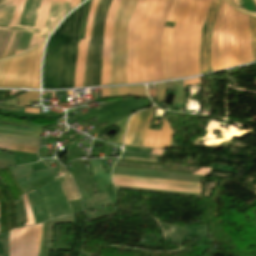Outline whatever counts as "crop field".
<instances>
[{
    "instance_id": "92a150f3",
    "label": "crop field",
    "mask_w": 256,
    "mask_h": 256,
    "mask_svg": "<svg viewBox=\"0 0 256 256\" xmlns=\"http://www.w3.org/2000/svg\"><path fill=\"white\" fill-rule=\"evenodd\" d=\"M39 100L38 92H27L18 96L19 106H29V101Z\"/></svg>"
},
{
    "instance_id": "bc2a9ffb",
    "label": "crop field",
    "mask_w": 256,
    "mask_h": 256,
    "mask_svg": "<svg viewBox=\"0 0 256 256\" xmlns=\"http://www.w3.org/2000/svg\"><path fill=\"white\" fill-rule=\"evenodd\" d=\"M51 0H43L42 7L35 27L43 28Z\"/></svg>"
},
{
    "instance_id": "00972430",
    "label": "crop field",
    "mask_w": 256,
    "mask_h": 256,
    "mask_svg": "<svg viewBox=\"0 0 256 256\" xmlns=\"http://www.w3.org/2000/svg\"><path fill=\"white\" fill-rule=\"evenodd\" d=\"M182 1L183 0H174L173 6L171 8V11H170L166 21L173 22V23L175 22V20L177 18V15H178V12L180 10Z\"/></svg>"
},
{
    "instance_id": "d9b57169",
    "label": "crop field",
    "mask_w": 256,
    "mask_h": 256,
    "mask_svg": "<svg viewBox=\"0 0 256 256\" xmlns=\"http://www.w3.org/2000/svg\"><path fill=\"white\" fill-rule=\"evenodd\" d=\"M224 1L222 2L219 14L217 16L216 25H215V31H214V37H213V43H212V49H211V57H212V67L213 71L218 70L217 68V59H216V46H217V36H218V30L220 26L222 11L224 7Z\"/></svg>"
},
{
    "instance_id": "4177f3b9",
    "label": "crop field",
    "mask_w": 256,
    "mask_h": 256,
    "mask_svg": "<svg viewBox=\"0 0 256 256\" xmlns=\"http://www.w3.org/2000/svg\"><path fill=\"white\" fill-rule=\"evenodd\" d=\"M157 87V93H158V101L159 103L162 102L165 94V86L164 83L156 84Z\"/></svg>"
},
{
    "instance_id": "3316defc",
    "label": "crop field",
    "mask_w": 256,
    "mask_h": 256,
    "mask_svg": "<svg viewBox=\"0 0 256 256\" xmlns=\"http://www.w3.org/2000/svg\"><path fill=\"white\" fill-rule=\"evenodd\" d=\"M38 47L0 61V87L31 89Z\"/></svg>"
},
{
    "instance_id": "bd1437ed",
    "label": "crop field",
    "mask_w": 256,
    "mask_h": 256,
    "mask_svg": "<svg viewBox=\"0 0 256 256\" xmlns=\"http://www.w3.org/2000/svg\"><path fill=\"white\" fill-rule=\"evenodd\" d=\"M163 151H164V150H155V149H153L151 154L162 155Z\"/></svg>"
},
{
    "instance_id": "eef30255",
    "label": "crop field",
    "mask_w": 256,
    "mask_h": 256,
    "mask_svg": "<svg viewBox=\"0 0 256 256\" xmlns=\"http://www.w3.org/2000/svg\"><path fill=\"white\" fill-rule=\"evenodd\" d=\"M122 159H130V160H140V161H151L155 162V159L150 158H139V157H127V156H121Z\"/></svg>"
},
{
    "instance_id": "730fd06b",
    "label": "crop field",
    "mask_w": 256,
    "mask_h": 256,
    "mask_svg": "<svg viewBox=\"0 0 256 256\" xmlns=\"http://www.w3.org/2000/svg\"><path fill=\"white\" fill-rule=\"evenodd\" d=\"M225 1L228 2L229 5H231L234 9H236V10H238V11L244 13V14H247V15H251V16L256 17V13H254V12H248V11L242 9V8L235 7V6L233 5V3H232L231 0H225Z\"/></svg>"
},
{
    "instance_id": "22f410ed",
    "label": "crop field",
    "mask_w": 256,
    "mask_h": 256,
    "mask_svg": "<svg viewBox=\"0 0 256 256\" xmlns=\"http://www.w3.org/2000/svg\"><path fill=\"white\" fill-rule=\"evenodd\" d=\"M58 171L67 174V176L62 178L64 192L67 196V199L69 201L79 199L80 197H79L78 191L74 185V182H73L70 174L59 163H58Z\"/></svg>"
},
{
    "instance_id": "34b2d1b8",
    "label": "crop field",
    "mask_w": 256,
    "mask_h": 256,
    "mask_svg": "<svg viewBox=\"0 0 256 256\" xmlns=\"http://www.w3.org/2000/svg\"><path fill=\"white\" fill-rule=\"evenodd\" d=\"M164 0H139L127 37V83L155 81L151 39Z\"/></svg>"
},
{
    "instance_id": "214f88e0",
    "label": "crop field",
    "mask_w": 256,
    "mask_h": 256,
    "mask_svg": "<svg viewBox=\"0 0 256 256\" xmlns=\"http://www.w3.org/2000/svg\"><path fill=\"white\" fill-rule=\"evenodd\" d=\"M228 4H225L223 16H222V21H221V26H220V31H219V37H218V46H217V58H218V68L219 70L223 69L222 67V55H221V41H222V33H223V23H224V17H225V12L227 10Z\"/></svg>"
},
{
    "instance_id": "cbeb9de0",
    "label": "crop field",
    "mask_w": 256,
    "mask_h": 256,
    "mask_svg": "<svg viewBox=\"0 0 256 256\" xmlns=\"http://www.w3.org/2000/svg\"><path fill=\"white\" fill-rule=\"evenodd\" d=\"M110 96L114 95H133L148 97L144 86H131L122 88H109Z\"/></svg>"
},
{
    "instance_id": "e52e79f7",
    "label": "crop field",
    "mask_w": 256,
    "mask_h": 256,
    "mask_svg": "<svg viewBox=\"0 0 256 256\" xmlns=\"http://www.w3.org/2000/svg\"><path fill=\"white\" fill-rule=\"evenodd\" d=\"M138 0H122L112 33L110 84L126 83V33Z\"/></svg>"
},
{
    "instance_id": "d3111659",
    "label": "crop field",
    "mask_w": 256,
    "mask_h": 256,
    "mask_svg": "<svg viewBox=\"0 0 256 256\" xmlns=\"http://www.w3.org/2000/svg\"><path fill=\"white\" fill-rule=\"evenodd\" d=\"M38 36L33 35L32 41L30 43L29 49L36 46Z\"/></svg>"
},
{
    "instance_id": "0bd39190",
    "label": "crop field",
    "mask_w": 256,
    "mask_h": 256,
    "mask_svg": "<svg viewBox=\"0 0 256 256\" xmlns=\"http://www.w3.org/2000/svg\"><path fill=\"white\" fill-rule=\"evenodd\" d=\"M236 5H238L237 0H233ZM239 6V5H238Z\"/></svg>"
},
{
    "instance_id": "a9b5d70f",
    "label": "crop field",
    "mask_w": 256,
    "mask_h": 256,
    "mask_svg": "<svg viewBox=\"0 0 256 256\" xmlns=\"http://www.w3.org/2000/svg\"><path fill=\"white\" fill-rule=\"evenodd\" d=\"M11 31L0 30V54Z\"/></svg>"
},
{
    "instance_id": "5142ce71",
    "label": "crop field",
    "mask_w": 256,
    "mask_h": 256,
    "mask_svg": "<svg viewBox=\"0 0 256 256\" xmlns=\"http://www.w3.org/2000/svg\"><path fill=\"white\" fill-rule=\"evenodd\" d=\"M21 31H12L0 59L10 57L14 54L16 45L21 36Z\"/></svg>"
},
{
    "instance_id": "5866460e",
    "label": "crop field",
    "mask_w": 256,
    "mask_h": 256,
    "mask_svg": "<svg viewBox=\"0 0 256 256\" xmlns=\"http://www.w3.org/2000/svg\"><path fill=\"white\" fill-rule=\"evenodd\" d=\"M194 84H201V82L184 84V88L187 87L188 85H194Z\"/></svg>"
},
{
    "instance_id": "d8731c3e",
    "label": "crop field",
    "mask_w": 256,
    "mask_h": 256,
    "mask_svg": "<svg viewBox=\"0 0 256 256\" xmlns=\"http://www.w3.org/2000/svg\"><path fill=\"white\" fill-rule=\"evenodd\" d=\"M111 0H99L88 43V52L84 69L83 87L100 86L102 65L103 28Z\"/></svg>"
},
{
    "instance_id": "e1f06a70",
    "label": "crop field",
    "mask_w": 256,
    "mask_h": 256,
    "mask_svg": "<svg viewBox=\"0 0 256 256\" xmlns=\"http://www.w3.org/2000/svg\"><path fill=\"white\" fill-rule=\"evenodd\" d=\"M238 3H239V5H240L241 7H243V8H244V6H243V4H242L241 0H238Z\"/></svg>"
},
{
    "instance_id": "d32e631a",
    "label": "crop field",
    "mask_w": 256,
    "mask_h": 256,
    "mask_svg": "<svg viewBox=\"0 0 256 256\" xmlns=\"http://www.w3.org/2000/svg\"><path fill=\"white\" fill-rule=\"evenodd\" d=\"M0 109H6V110H12V111H20L21 109H12V108H3V107H0Z\"/></svg>"
},
{
    "instance_id": "750c4746",
    "label": "crop field",
    "mask_w": 256,
    "mask_h": 256,
    "mask_svg": "<svg viewBox=\"0 0 256 256\" xmlns=\"http://www.w3.org/2000/svg\"><path fill=\"white\" fill-rule=\"evenodd\" d=\"M26 113H37L40 114V110L39 109H25Z\"/></svg>"
},
{
    "instance_id": "28ad6ade",
    "label": "crop field",
    "mask_w": 256,
    "mask_h": 256,
    "mask_svg": "<svg viewBox=\"0 0 256 256\" xmlns=\"http://www.w3.org/2000/svg\"><path fill=\"white\" fill-rule=\"evenodd\" d=\"M115 186L139 187L202 194L201 187L113 178Z\"/></svg>"
},
{
    "instance_id": "ac0d7876",
    "label": "crop field",
    "mask_w": 256,
    "mask_h": 256,
    "mask_svg": "<svg viewBox=\"0 0 256 256\" xmlns=\"http://www.w3.org/2000/svg\"><path fill=\"white\" fill-rule=\"evenodd\" d=\"M84 5L61 23L50 37L43 66V88H73L78 34Z\"/></svg>"
},
{
    "instance_id": "d1516ede",
    "label": "crop field",
    "mask_w": 256,
    "mask_h": 256,
    "mask_svg": "<svg viewBox=\"0 0 256 256\" xmlns=\"http://www.w3.org/2000/svg\"><path fill=\"white\" fill-rule=\"evenodd\" d=\"M171 28H164L161 44V60L165 80L172 79L170 67Z\"/></svg>"
},
{
    "instance_id": "ae1a2a85",
    "label": "crop field",
    "mask_w": 256,
    "mask_h": 256,
    "mask_svg": "<svg viewBox=\"0 0 256 256\" xmlns=\"http://www.w3.org/2000/svg\"><path fill=\"white\" fill-rule=\"evenodd\" d=\"M24 4H25V0L22 1V4H21V6H20L19 13H18V16H17V19H16V23H15V24H18V21H19L21 12H22L23 7H24Z\"/></svg>"
},
{
    "instance_id": "dd49c442",
    "label": "crop field",
    "mask_w": 256,
    "mask_h": 256,
    "mask_svg": "<svg viewBox=\"0 0 256 256\" xmlns=\"http://www.w3.org/2000/svg\"><path fill=\"white\" fill-rule=\"evenodd\" d=\"M26 194L35 217V224L74 214L63 192L61 179Z\"/></svg>"
},
{
    "instance_id": "4a817a6b",
    "label": "crop field",
    "mask_w": 256,
    "mask_h": 256,
    "mask_svg": "<svg viewBox=\"0 0 256 256\" xmlns=\"http://www.w3.org/2000/svg\"><path fill=\"white\" fill-rule=\"evenodd\" d=\"M44 43L40 44L39 47V53L37 57V64H36V69H35V75H34V81H33V87L32 89H39V82H40V62L42 58V52L44 48Z\"/></svg>"
},
{
    "instance_id": "028f5c9d",
    "label": "crop field",
    "mask_w": 256,
    "mask_h": 256,
    "mask_svg": "<svg viewBox=\"0 0 256 256\" xmlns=\"http://www.w3.org/2000/svg\"><path fill=\"white\" fill-rule=\"evenodd\" d=\"M4 91H0V100L3 99Z\"/></svg>"
},
{
    "instance_id": "120bbe31",
    "label": "crop field",
    "mask_w": 256,
    "mask_h": 256,
    "mask_svg": "<svg viewBox=\"0 0 256 256\" xmlns=\"http://www.w3.org/2000/svg\"><path fill=\"white\" fill-rule=\"evenodd\" d=\"M149 91V94L153 97H155V94H156V90H148Z\"/></svg>"
},
{
    "instance_id": "c035e120",
    "label": "crop field",
    "mask_w": 256,
    "mask_h": 256,
    "mask_svg": "<svg viewBox=\"0 0 256 256\" xmlns=\"http://www.w3.org/2000/svg\"><path fill=\"white\" fill-rule=\"evenodd\" d=\"M255 2H256V0H255Z\"/></svg>"
},
{
    "instance_id": "b80d0937",
    "label": "crop field",
    "mask_w": 256,
    "mask_h": 256,
    "mask_svg": "<svg viewBox=\"0 0 256 256\" xmlns=\"http://www.w3.org/2000/svg\"><path fill=\"white\" fill-rule=\"evenodd\" d=\"M86 41H88V40H86ZM75 88H79V87H75Z\"/></svg>"
},
{
    "instance_id": "dafd665d",
    "label": "crop field",
    "mask_w": 256,
    "mask_h": 256,
    "mask_svg": "<svg viewBox=\"0 0 256 256\" xmlns=\"http://www.w3.org/2000/svg\"><path fill=\"white\" fill-rule=\"evenodd\" d=\"M250 34L254 60H256V19L250 17Z\"/></svg>"
},
{
    "instance_id": "c21b1889",
    "label": "crop field",
    "mask_w": 256,
    "mask_h": 256,
    "mask_svg": "<svg viewBox=\"0 0 256 256\" xmlns=\"http://www.w3.org/2000/svg\"><path fill=\"white\" fill-rule=\"evenodd\" d=\"M1 1V0H0Z\"/></svg>"
},
{
    "instance_id": "8a807250",
    "label": "crop field",
    "mask_w": 256,
    "mask_h": 256,
    "mask_svg": "<svg viewBox=\"0 0 256 256\" xmlns=\"http://www.w3.org/2000/svg\"><path fill=\"white\" fill-rule=\"evenodd\" d=\"M212 0H184L172 34L171 66L173 78L200 74L201 28ZM222 0H213L202 29L201 74L211 72L210 48L215 19Z\"/></svg>"
},
{
    "instance_id": "733c2abd",
    "label": "crop field",
    "mask_w": 256,
    "mask_h": 256,
    "mask_svg": "<svg viewBox=\"0 0 256 256\" xmlns=\"http://www.w3.org/2000/svg\"><path fill=\"white\" fill-rule=\"evenodd\" d=\"M0 149H7V150H14V151L37 154L38 147L26 146V145H16V144H9V143H0Z\"/></svg>"
},
{
    "instance_id": "f4fd0767",
    "label": "crop field",
    "mask_w": 256,
    "mask_h": 256,
    "mask_svg": "<svg viewBox=\"0 0 256 256\" xmlns=\"http://www.w3.org/2000/svg\"><path fill=\"white\" fill-rule=\"evenodd\" d=\"M224 69L253 60L249 37V17L228 6L222 41ZM252 62V61H251Z\"/></svg>"
},
{
    "instance_id": "412701ff",
    "label": "crop field",
    "mask_w": 256,
    "mask_h": 256,
    "mask_svg": "<svg viewBox=\"0 0 256 256\" xmlns=\"http://www.w3.org/2000/svg\"><path fill=\"white\" fill-rule=\"evenodd\" d=\"M6 1L7 0L0 3V29L23 31L22 37L17 45L16 51H20V50L27 51L28 45L32 38L33 33L40 36L47 37L48 34L51 32V30H53V28L62 20L63 16L66 15L69 11H71L75 6H77L73 4H79L81 0H66L73 4H70L69 2H66V1L53 0L44 29L34 28L35 22L38 16V12L40 9L41 0L26 1L19 26L7 25V24L15 23V19L18 13L21 0H8L7 3L11 8L6 4ZM7 12H8V16H7ZM6 16H7V19H6ZM5 19H6V22H5ZM4 22L7 24H4ZM40 36H39L38 44L46 39ZM21 52H24V51H21ZM21 52H16L15 55Z\"/></svg>"
},
{
    "instance_id": "5a996713",
    "label": "crop field",
    "mask_w": 256,
    "mask_h": 256,
    "mask_svg": "<svg viewBox=\"0 0 256 256\" xmlns=\"http://www.w3.org/2000/svg\"><path fill=\"white\" fill-rule=\"evenodd\" d=\"M153 108L133 114L129 121L124 145L142 147L146 131L153 114ZM172 131L164 119L161 131L148 130L143 147L169 148Z\"/></svg>"
},
{
    "instance_id": "1d83c4d3",
    "label": "crop field",
    "mask_w": 256,
    "mask_h": 256,
    "mask_svg": "<svg viewBox=\"0 0 256 256\" xmlns=\"http://www.w3.org/2000/svg\"><path fill=\"white\" fill-rule=\"evenodd\" d=\"M42 225V224H41ZM41 225L39 227V234H38V243H37V254L36 256H38V249H39V241H40V229H41Z\"/></svg>"
}]
</instances>
